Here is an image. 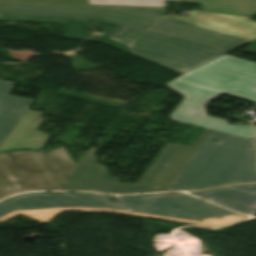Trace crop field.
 I'll return each instance as SVG.
<instances>
[{
    "label": "crop field",
    "mask_w": 256,
    "mask_h": 256,
    "mask_svg": "<svg viewBox=\"0 0 256 256\" xmlns=\"http://www.w3.org/2000/svg\"><path fill=\"white\" fill-rule=\"evenodd\" d=\"M210 133V130L204 129L193 146L166 143L137 184L119 183V178L107 175L105 166L97 164L99 159L93 155L96 149H88L59 190L112 194L169 191Z\"/></svg>",
    "instance_id": "3"
},
{
    "label": "crop field",
    "mask_w": 256,
    "mask_h": 256,
    "mask_svg": "<svg viewBox=\"0 0 256 256\" xmlns=\"http://www.w3.org/2000/svg\"><path fill=\"white\" fill-rule=\"evenodd\" d=\"M131 54L184 74L227 52L146 32L132 45Z\"/></svg>",
    "instance_id": "7"
},
{
    "label": "crop field",
    "mask_w": 256,
    "mask_h": 256,
    "mask_svg": "<svg viewBox=\"0 0 256 256\" xmlns=\"http://www.w3.org/2000/svg\"><path fill=\"white\" fill-rule=\"evenodd\" d=\"M148 31L227 52L251 42L167 16L158 20Z\"/></svg>",
    "instance_id": "8"
},
{
    "label": "crop field",
    "mask_w": 256,
    "mask_h": 256,
    "mask_svg": "<svg viewBox=\"0 0 256 256\" xmlns=\"http://www.w3.org/2000/svg\"><path fill=\"white\" fill-rule=\"evenodd\" d=\"M202 3L207 11L251 16L256 13V0H182Z\"/></svg>",
    "instance_id": "14"
},
{
    "label": "crop field",
    "mask_w": 256,
    "mask_h": 256,
    "mask_svg": "<svg viewBox=\"0 0 256 256\" xmlns=\"http://www.w3.org/2000/svg\"><path fill=\"white\" fill-rule=\"evenodd\" d=\"M0 1L87 4V0H0Z\"/></svg>",
    "instance_id": "17"
},
{
    "label": "crop field",
    "mask_w": 256,
    "mask_h": 256,
    "mask_svg": "<svg viewBox=\"0 0 256 256\" xmlns=\"http://www.w3.org/2000/svg\"><path fill=\"white\" fill-rule=\"evenodd\" d=\"M166 85L185 97L171 119L254 139L249 126H230L207 116L204 107L222 92L256 101V63L224 55ZM252 127L256 138V126Z\"/></svg>",
    "instance_id": "2"
},
{
    "label": "crop field",
    "mask_w": 256,
    "mask_h": 256,
    "mask_svg": "<svg viewBox=\"0 0 256 256\" xmlns=\"http://www.w3.org/2000/svg\"><path fill=\"white\" fill-rule=\"evenodd\" d=\"M119 199V202L110 203L106 196L99 195L30 194L0 203V222L21 213L45 224L62 211L124 213L210 227L246 218L185 195L163 194ZM198 220L202 221L199 223Z\"/></svg>",
    "instance_id": "1"
},
{
    "label": "crop field",
    "mask_w": 256,
    "mask_h": 256,
    "mask_svg": "<svg viewBox=\"0 0 256 256\" xmlns=\"http://www.w3.org/2000/svg\"><path fill=\"white\" fill-rule=\"evenodd\" d=\"M31 21V22H45L68 24L64 37L82 40L91 33L86 32L87 29L95 26L100 29L108 31L102 36L95 35L87 40L101 41L125 25L105 21L101 19H87V18H65V17H44V16H24V15H3L0 21Z\"/></svg>",
    "instance_id": "10"
},
{
    "label": "crop field",
    "mask_w": 256,
    "mask_h": 256,
    "mask_svg": "<svg viewBox=\"0 0 256 256\" xmlns=\"http://www.w3.org/2000/svg\"><path fill=\"white\" fill-rule=\"evenodd\" d=\"M252 152L254 140L212 131L170 191L256 181V154Z\"/></svg>",
    "instance_id": "4"
},
{
    "label": "crop field",
    "mask_w": 256,
    "mask_h": 256,
    "mask_svg": "<svg viewBox=\"0 0 256 256\" xmlns=\"http://www.w3.org/2000/svg\"><path fill=\"white\" fill-rule=\"evenodd\" d=\"M0 14L101 18L147 31L165 8L0 2Z\"/></svg>",
    "instance_id": "6"
},
{
    "label": "crop field",
    "mask_w": 256,
    "mask_h": 256,
    "mask_svg": "<svg viewBox=\"0 0 256 256\" xmlns=\"http://www.w3.org/2000/svg\"><path fill=\"white\" fill-rule=\"evenodd\" d=\"M145 31H141L131 27H124L121 30L117 31L116 33L112 34L108 38H111L125 46H129L132 44L136 39H138Z\"/></svg>",
    "instance_id": "16"
},
{
    "label": "crop field",
    "mask_w": 256,
    "mask_h": 256,
    "mask_svg": "<svg viewBox=\"0 0 256 256\" xmlns=\"http://www.w3.org/2000/svg\"><path fill=\"white\" fill-rule=\"evenodd\" d=\"M165 1H179V0H88V3L96 4V5H131V6L164 7Z\"/></svg>",
    "instance_id": "15"
},
{
    "label": "crop field",
    "mask_w": 256,
    "mask_h": 256,
    "mask_svg": "<svg viewBox=\"0 0 256 256\" xmlns=\"http://www.w3.org/2000/svg\"><path fill=\"white\" fill-rule=\"evenodd\" d=\"M192 195L244 214L253 215L256 212V185L237 186Z\"/></svg>",
    "instance_id": "12"
},
{
    "label": "crop field",
    "mask_w": 256,
    "mask_h": 256,
    "mask_svg": "<svg viewBox=\"0 0 256 256\" xmlns=\"http://www.w3.org/2000/svg\"><path fill=\"white\" fill-rule=\"evenodd\" d=\"M188 15V18L173 15L169 17L247 40H256V22L249 17L196 10H190Z\"/></svg>",
    "instance_id": "9"
},
{
    "label": "crop field",
    "mask_w": 256,
    "mask_h": 256,
    "mask_svg": "<svg viewBox=\"0 0 256 256\" xmlns=\"http://www.w3.org/2000/svg\"><path fill=\"white\" fill-rule=\"evenodd\" d=\"M14 83L0 80V144L33 102L32 99L8 95Z\"/></svg>",
    "instance_id": "13"
},
{
    "label": "crop field",
    "mask_w": 256,
    "mask_h": 256,
    "mask_svg": "<svg viewBox=\"0 0 256 256\" xmlns=\"http://www.w3.org/2000/svg\"><path fill=\"white\" fill-rule=\"evenodd\" d=\"M40 114V112L27 110L1 144L0 152L20 148L40 149L49 136L36 131L43 120L38 117Z\"/></svg>",
    "instance_id": "11"
},
{
    "label": "crop field",
    "mask_w": 256,
    "mask_h": 256,
    "mask_svg": "<svg viewBox=\"0 0 256 256\" xmlns=\"http://www.w3.org/2000/svg\"><path fill=\"white\" fill-rule=\"evenodd\" d=\"M64 147L0 154V199L27 190H58L74 168Z\"/></svg>",
    "instance_id": "5"
}]
</instances>
